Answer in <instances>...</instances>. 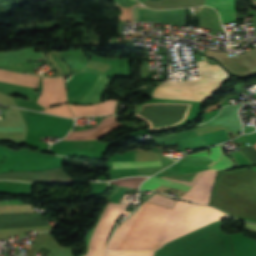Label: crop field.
Here are the masks:
<instances>
[{"label": "crop field", "instance_id": "obj_22", "mask_svg": "<svg viewBox=\"0 0 256 256\" xmlns=\"http://www.w3.org/2000/svg\"><path fill=\"white\" fill-rule=\"evenodd\" d=\"M255 29H256V15H255Z\"/></svg>", "mask_w": 256, "mask_h": 256}, {"label": "crop field", "instance_id": "obj_12", "mask_svg": "<svg viewBox=\"0 0 256 256\" xmlns=\"http://www.w3.org/2000/svg\"><path fill=\"white\" fill-rule=\"evenodd\" d=\"M33 48H24L12 52H0V65L24 62L33 58H44L42 52H34Z\"/></svg>", "mask_w": 256, "mask_h": 256}, {"label": "crop field", "instance_id": "obj_4", "mask_svg": "<svg viewBox=\"0 0 256 256\" xmlns=\"http://www.w3.org/2000/svg\"><path fill=\"white\" fill-rule=\"evenodd\" d=\"M126 207L124 204L109 203L90 238L89 251L85 256H104L106 239L113 224L121 214H129L124 211Z\"/></svg>", "mask_w": 256, "mask_h": 256}, {"label": "crop field", "instance_id": "obj_21", "mask_svg": "<svg viewBox=\"0 0 256 256\" xmlns=\"http://www.w3.org/2000/svg\"><path fill=\"white\" fill-rule=\"evenodd\" d=\"M243 228L256 233V225H254V224H250V223L245 222Z\"/></svg>", "mask_w": 256, "mask_h": 256}, {"label": "crop field", "instance_id": "obj_8", "mask_svg": "<svg viewBox=\"0 0 256 256\" xmlns=\"http://www.w3.org/2000/svg\"><path fill=\"white\" fill-rule=\"evenodd\" d=\"M65 102L67 101L63 78H43L42 94L37 103L47 108Z\"/></svg>", "mask_w": 256, "mask_h": 256}, {"label": "crop field", "instance_id": "obj_18", "mask_svg": "<svg viewBox=\"0 0 256 256\" xmlns=\"http://www.w3.org/2000/svg\"><path fill=\"white\" fill-rule=\"evenodd\" d=\"M145 179L146 178H144V177L126 178V179H121V180H115V181H112L110 183L118 184V185H122V186H126V187L137 189L139 184L141 182H143Z\"/></svg>", "mask_w": 256, "mask_h": 256}, {"label": "crop field", "instance_id": "obj_14", "mask_svg": "<svg viewBox=\"0 0 256 256\" xmlns=\"http://www.w3.org/2000/svg\"><path fill=\"white\" fill-rule=\"evenodd\" d=\"M207 150L192 154V155H198V156H208L214 160H218L221 156V148L219 147H215V148H211L209 155H207ZM208 157H197V156H187L184 160V162L182 163L183 166H210L212 165L214 162V160L208 158Z\"/></svg>", "mask_w": 256, "mask_h": 256}, {"label": "crop field", "instance_id": "obj_16", "mask_svg": "<svg viewBox=\"0 0 256 256\" xmlns=\"http://www.w3.org/2000/svg\"><path fill=\"white\" fill-rule=\"evenodd\" d=\"M114 168H140L162 166L160 161L113 162Z\"/></svg>", "mask_w": 256, "mask_h": 256}, {"label": "crop field", "instance_id": "obj_9", "mask_svg": "<svg viewBox=\"0 0 256 256\" xmlns=\"http://www.w3.org/2000/svg\"><path fill=\"white\" fill-rule=\"evenodd\" d=\"M121 124L122 123L115 120L114 116H111V117L105 118L93 129L70 132L69 135L66 136L64 140L100 139L101 137L109 133L112 129L116 128Z\"/></svg>", "mask_w": 256, "mask_h": 256}, {"label": "crop field", "instance_id": "obj_19", "mask_svg": "<svg viewBox=\"0 0 256 256\" xmlns=\"http://www.w3.org/2000/svg\"><path fill=\"white\" fill-rule=\"evenodd\" d=\"M44 112L46 113H53V114H59L65 117H73L69 107L67 106V104H63L60 106H56V107H52L50 109H46L44 110Z\"/></svg>", "mask_w": 256, "mask_h": 256}, {"label": "crop field", "instance_id": "obj_6", "mask_svg": "<svg viewBox=\"0 0 256 256\" xmlns=\"http://www.w3.org/2000/svg\"><path fill=\"white\" fill-rule=\"evenodd\" d=\"M233 166L234 163L229 160L226 155H223L222 159L218 163H216L210 170L228 169ZM216 172L217 171L205 170L200 179L196 182V184L180 198L195 203L207 205L211 195Z\"/></svg>", "mask_w": 256, "mask_h": 256}, {"label": "crop field", "instance_id": "obj_3", "mask_svg": "<svg viewBox=\"0 0 256 256\" xmlns=\"http://www.w3.org/2000/svg\"><path fill=\"white\" fill-rule=\"evenodd\" d=\"M155 256H232L229 238L219 221L165 244Z\"/></svg>", "mask_w": 256, "mask_h": 256}, {"label": "crop field", "instance_id": "obj_7", "mask_svg": "<svg viewBox=\"0 0 256 256\" xmlns=\"http://www.w3.org/2000/svg\"><path fill=\"white\" fill-rule=\"evenodd\" d=\"M203 171L195 173H185V174H172L162 178L153 176L146 182L142 183L141 190H154L160 184L164 186L174 187L182 190L188 191L190 187L199 179Z\"/></svg>", "mask_w": 256, "mask_h": 256}, {"label": "crop field", "instance_id": "obj_5", "mask_svg": "<svg viewBox=\"0 0 256 256\" xmlns=\"http://www.w3.org/2000/svg\"><path fill=\"white\" fill-rule=\"evenodd\" d=\"M37 215L32 205H5L0 206V217L31 216ZM48 225L41 217H15L0 218V230L45 226Z\"/></svg>", "mask_w": 256, "mask_h": 256}, {"label": "crop field", "instance_id": "obj_10", "mask_svg": "<svg viewBox=\"0 0 256 256\" xmlns=\"http://www.w3.org/2000/svg\"><path fill=\"white\" fill-rule=\"evenodd\" d=\"M139 21L162 22L167 24L184 25V9L169 11H154L137 9Z\"/></svg>", "mask_w": 256, "mask_h": 256}, {"label": "crop field", "instance_id": "obj_15", "mask_svg": "<svg viewBox=\"0 0 256 256\" xmlns=\"http://www.w3.org/2000/svg\"><path fill=\"white\" fill-rule=\"evenodd\" d=\"M107 82V77L99 75L81 104H93L97 103L101 99L102 89Z\"/></svg>", "mask_w": 256, "mask_h": 256}, {"label": "crop field", "instance_id": "obj_1", "mask_svg": "<svg viewBox=\"0 0 256 256\" xmlns=\"http://www.w3.org/2000/svg\"><path fill=\"white\" fill-rule=\"evenodd\" d=\"M210 205L256 222V172L247 168L219 172Z\"/></svg>", "mask_w": 256, "mask_h": 256}, {"label": "crop field", "instance_id": "obj_17", "mask_svg": "<svg viewBox=\"0 0 256 256\" xmlns=\"http://www.w3.org/2000/svg\"><path fill=\"white\" fill-rule=\"evenodd\" d=\"M154 251H107V256H153Z\"/></svg>", "mask_w": 256, "mask_h": 256}, {"label": "crop field", "instance_id": "obj_13", "mask_svg": "<svg viewBox=\"0 0 256 256\" xmlns=\"http://www.w3.org/2000/svg\"><path fill=\"white\" fill-rule=\"evenodd\" d=\"M203 5L218 10L222 24L236 21L235 0H205Z\"/></svg>", "mask_w": 256, "mask_h": 256}, {"label": "crop field", "instance_id": "obj_2", "mask_svg": "<svg viewBox=\"0 0 256 256\" xmlns=\"http://www.w3.org/2000/svg\"><path fill=\"white\" fill-rule=\"evenodd\" d=\"M200 78L184 84L166 81L154 89L151 97L203 102L229 76L216 61H199Z\"/></svg>", "mask_w": 256, "mask_h": 256}, {"label": "crop field", "instance_id": "obj_11", "mask_svg": "<svg viewBox=\"0 0 256 256\" xmlns=\"http://www.w3.org/2000/svg\"><path fill=\"white\" fill-rule=\"evenodd\" d=\"M115 100H107L94 105L82 106V105H70L75 117L85 115H100V114H113L116 105Z\"/></svg>", "mask_w": 256, "mask_h": 256}, {"label": "crop field", "instance_id": "obj_20", "mask_svg": "<svg viewBox=\"0 0 256 256\" xmlns=\"http://www.w3.org/2000/svg\"><path fill=\"white\" fill-rule=\"evenodd\" d=\"M148 202H151V203H154V204H158V205H161V206H165V207H170L172 208L174 203H175V200H171V199H167V198H164L162 196H159L157 194H154L149 200Z\"/></svg>", "mask_w": 256, "mask_h": 256}]
</instances>
